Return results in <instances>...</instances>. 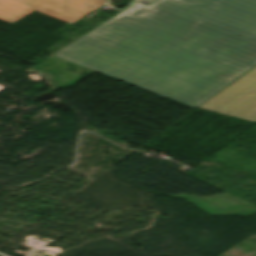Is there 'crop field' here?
I'll use <instances>...</instances> for the list:
<instances>
[{
    "label": "crop field",
    "instance_id": "crop-field-1",
    "mask_svg": "<svg viewBox=\"0 0 256 256\" xmlns=\"http://www.w3.org/2000/svg\"><path fill=\"white\" fill-rule=\"evenodd\" d=\"M53 56L195 109L256 66V0L134 2Z\"/></svg>",
    "mask_w": 256,
    "mask_h": 256
},
{
    "label": "crop field",
    "instance_id": "crop-field-2",
    "mask_svg": "<svg viewBox=\"0 0 256 256\" xmlns=\"http://www.w3.org/2000/svg\"><path fill=\"white\" fill-rule=\"evenodd\" d=\"M107 0H0V20L15 23L38 11L72 25Z\"/></svg>",
    "mask_w": 256,
    "mask_h": 256
},
{
    "label": "crop field",
    "instance_id": "crop-field-3",
    "mask_svg": "<svg viewBox=\"0 0 256 256\" xmlns=\"http://www.w3.org/2000/svg\"><path fill=\"white\" fill-rule=\"evenodd\" d=\"M199 108L256 122V67Z\"/></svg>",
    "mask_w": 256,
    "mask_h": 256
}]
</instances>
